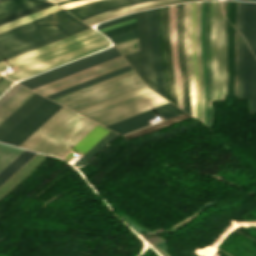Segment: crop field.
<instances>
[{
    "mask_svg": "<svg viewBox=\"0 0 256 256\" xmlns=\"http://www.w3.org/2000/svg\"><path fill=\"white\" fill-rule=\"evenodd\" d=\"M108 40L90 28L23 55L0 63V71L15 68L17 71L5 75L18 81L65 62L108 47Z\"/></svg>",
    "mask_w": 256,
    "mask_h": 256,
    "instance_id": "obj_1",
    "label": "crop field"
},
{
    "mask_svg": "<svg viewBox=\"0 0 256 256\" xmlns=\"http://www.w3.org/2000/svg\"><path fill=\"white\" fill-rule=\"evenodd\" d=\"M63 9L0 33V61L88 29Z\"/></svg>",
    "mask_w": 256,
    "mask_h": 256,
    "instance_id": "obj_2",
    "label": "crop field"
},
{
    "mask_svg": "<svg viewBox=\"0 0 256 256\" xmlns=\"http://www.w3.org/2000/svg\"><path fill=\"white\" fill-rule=\"evenodd\" d=\"M96 125L62 107L20 147L60 158Z\"/></svg>",
    "mask_w": 256,
    "mask_h": 256,
    "instance_id": "obj_3",
    "label": "crop field"
},
{
    "mask_svg": "<svg viewBox=\"0 0 256 256\" xmlns=\"http://www.w3.org/2000/svg\"><path fill=\"white\" fill-rule=\"evenodd\" d=\"M144 86L131 69L53 100L78 112Z\"/></svg>",
    "mask_w": 256,
    "mask_h": 256,
    "instance_id": "obj_4",
    "label": "crop field"
},
{
    "mask_svg": "<svg viewBox=\"0 0 256 256\" xmlns=\"http://www.w3.org/2000/svg\"><path fill=\"white\" fill-rule=\"evenodd\" d=\"M165 103L168 102L149 89L83 115L106 126Z\"/></svg>",
    "mask_w": 256,
    "mask_h": 256,
    "instance_id": "obj_5",
    "label": "crop field"
},
{
    "mask_svg": "<svg viewBox=\"0 0 256 256\" xmlns=\"http://www.w3.org/2000/svg\"><path fill=\"white\" fill-rule=\"evenodd\" d=\"M118 56H120V54L116 49L108 48L106 50L100 51L93 55L69 63L67 65L61 66L59 68L48 71L41 75L35 76L33 78H27L28 80L19 82L33 89L35 87L41 86L43 84L49 83L51 81L57 80L59 78L65 77L67 75L73 74L75 72H78L80 70L86 69L88 67L94 66L96 64L102 63L104 61L110 60Z\"/></svg>",
    "mask_w": 256,
    "mask_h": 256,
    "instance_id": "obj_6",
    "label": "crop field"
},
{
    "mask_svg": "<svg viewBox=\"0 0 256 256\" xmlns=\"http://www.w3.org/2000/svg\"><path fill=\"white\" fill-rule=\"evenodd\" d=\"M137 25L140 35L141 51L124 55V57L133 67V69L138 73V75L143 79V81L152 90L156 91L153 66L150 56L148 21L146 10L137 13Z\"/></svg>",
    "mask_w": 256,
    "mask_h": 256,
    "instance_id": "obj_7",
    "label": "crop field"
},
{
    "mask_svg": "<svg viewBox=\"0 0 256 256\" xmlns=\"http://www.w3.org/2000/svg\"><path fill=\"white\" fill-rule=\"evenodd\" d=\"M60 108L61 106L46 99L0 142L19 146Z\"/></svg>",
    "mask_w": 256,
    "mask_h": 256,
    "instance_id": "obj_8",
    "label": "crop field"
},
{
    "mask_svg": "<svg viewBox=\"0 0 256 256\" xmlns=\"http://www.w3.org/2000/svg\"><path fill=\"white\" fill-rule=\"evenodd\" d=\"M126 65H128V63L125 61V59L122 56H120L118 58L112 59L110 61L104 62L102 64L88 68L86 70L80 71L73 75L67 76L65 78L59 79L57 81L51 82L41 87L35 88L33 90L46 96L48 94L54 93L56 91L62 90L64 88L70 87L72 85L78 84L80 82L86 81L88 79L94 78L96 76L102 75L104 73L110 72L112 70L118 69Z\"/></svg>",
    "mask_w": 256,
    "mask_h": 256,
    "instance_id": "obj_9",
    "label": "crop field"
},
{
    "mask_svg": "<svg viewBox=\"0 0 256 256\" xmlns=\"http://www.w3.org/2000/svg\"><path fill=\"white\" fill-rule=\"evenodd\" d=\"M182 113L184 112L168 103L106 127L119 134H125L149 125L147 121L155 117L162 116L163 119L166 120Z\"/></svg>",
    "mask_w": 256,
    "mask_h": 256,
    "instance_id": "obj_10",
    "label": "crop field"
},
{
    "mask_svg": "<svg viewBox=\"0 0 256 256\" xmlns=\"http://www.w3.org/2000/svg\"><path fill=\"white\" fill-rule=\"evenodd\" d=\"M147 12H148V21H149L151 56H152L154 72H155L157 93H159L164 98H166L162 68H161V62H160V56H159V48H158L156 9H150V10H147Z\"/></svg>",
    "mask_w": 256,
    "mask_h": 256,
    "instance_id": "obj_11",
    "label": "crop field"
},
{
    "mask_svg": "<svg viewBox=\"0 0 256 256\" xmlns=\"http://www.w3.org/2000/svg\"><path fill=\"white\" fill-rule=\"evenodd\" d=\"M177 31H178V53L179 61L183 80V92H184V111L189 115L190 112V89L188 82V73L186 66V58L184 52V25H183V4L177 5Z\"/></svg>",
    "mask_w": 256,
    "mask_h": 256,
    "instance_id": "obj_12",
    "label": "crop field"
},
{
    "mask_svg": "<svg viewBox=\"0 0 256 256\" xmlns=\"http://www.w3.org/2000/svg\"><path fill=\"white\" fill-rule=\"evenodd\" d=\"M45 98L33 94L0 124V139L34 110Z\"/></svg>",
    "mask_w": 256,
    "mask_h": 256,
    "instance_id": "obj_13",
    "label": "crop field"
},
{
    "mask_svg": "<svg viewBox=\"0 0 256 256\" xmlns=\"http://www.w3.org/2000/svg\"><path fill=\"white\" fill-rule=\"evenodd\" d=\"M190 9L191 3L184 4V23H185V50L188 65L189 80L191 86V111L192 117L196 118V88L193 73L192 53H191V30H190Z\"/></svg>",
    "mask_w": 256,
    "mask_h": 256,
    "instance_id": "obj_14",
    "label": "crop field"
},
{
    "mask_svg": "<svg viewBox=\"0 0 256 256\" xmlns=\"http://www.w3.org/2000/svg\"><path fill=\"white\" fill-rule=\"evenodd\" d=\"M187 1H196V0H156V1H150V2H144L140 4H135V5H130L127 7H123L117 10L109 11L100 15H96L88 20H85L84 22L87 23L89 26H92L98 22H101L103 20L127 14L133 11H137L140 9H145V8H151V7H157V6H162L166 4H172V3H180V2H187Z\"/></svg>",
    "mask_w": 256,
    "mask_h": 256,
    "instance_id": "obj_15",
    "label": "crop field"
},
{
    "mask_svg": "<svg viewBox=\"0 0 256 256\" xmlns=\"http://www.w3.org/2000/svg\"><path fill=\"white\" fill-rule=\"evenodd\" d=\"M218 8H219V1L212 2L211 58H212V76H213V84H214V100L219 99V75H218V54H217Z\"/></svg>",
    "mask_w": 256,
    "mask_h": 256,
    "instance_id": "obj_16",
    "label": "crop field"
},
{
    "mask_svg": "<svg viewBox=\"0 0 256 256\" xmlns=\"http://www.w3.org/2000/svg\"><path fill=\"white\" fill-rule=\"evenodd\" d=\"M162 28H163V40H164V54L169 74L170 80V93H171V102L177 105L176 98V88H175V79H174V70L172 62V54L169 42V14L168 6L162 8Z\"/></svg>",
    "mask_w": 256,
    "mask_h": 256,
    "instance_id": "obj_17",
    "label": "crop field"
},
{
    "mask_svg": "<svg viewBox=\"0 0 256 256\" xmlns=\"http://www.w3.org/2000/svg\"><path fill=\"white\" fill-rule=\"evenodd\" d=\"M169 10H170V42H171L174 69H175L178 107L183 109L182 81L180 77L179 63H178V56H177L176 5L169 6Z\"/></svg>",
    "mask_w": 256,
    "mask_h": 256,
    "instance_id": "obj_18",
    "label": "crop field"
},
{
    "mask_svg": "<svg viewBox=\"0 0 256 256\" xmlns=\"http://www.w3.org/2000/svg\"><path fill=\"white\" fill-rule=\"evenodd\" d=\"M140 0H99L96 2L88 3L85 5L77 6L71 9H67L69 12L73 13L77 17L81 18L85 15L94 13L96 11L106 9L109 7L129 3V2H135Z\"/></svg>",
    "mask_w": 256,
    "mask_h": 256,
    "instance_id": "obj_19",
    "label": "crop field"
},
{
    "mask_svg": "<svg viewBox=\"0 0 256 256\" xmlns=\"http://www.w3.org/2000/svg\"><path fill=\"white\" fill-rule=\"evenodd\" d=\"M224 15L219 8L218 24V53H219V74H220V99L225 100V71H224Z\"/></svg>",
    "mask_w": 256,
    "mask_h": 256,
    "instance_id": "obj_20",
    "label": "crop field"
},
{
    "mask_svg": "<svg viewBox=\"0 0 256 256\" xmlns=\"http://www.w3.org/2000/svg\"><path fill=\"white\" fill-rule=\"evenodd\" d=\"M234 28L228 22L227 55H228V104L233 105V73H234Z\"/></svg>",
    "mask_w": 256,
    "mask_h": 256,
    "instance_id": "obj_21",
    "label": "crop field"
},
{
    "mask_svg": "<svg viewBox=\"0 0 256 256\" xmlns=\"http://www.w3.org/2000/svg\"><path fill=\"white\" fill-rule=\"evenodd\" d=\"M242 99H249V112H250V50L242 38Z\"/></svg>",
    "mask_w": 256,
    "mask_h": 256,
    "instance_id": "obj_22",
    "label": "crop field"
},
{
    "mask_svg": "<svg viewBox=\"0 0 256 256\" xmlns=\"http://www.w3.org/2000/svg\"><path fill=\"white\" fill-rule=\"evenodd\" d=\"M200 7H201V2L197 3V8H196V43H197V63H198V69H199L200 93H201L200 121L203 123L205 100H204L203 76H202V70H201V57H200Z\"/></svg>",
    "mask_w": 256,
    "mask_h": 256,
    "instance_id": "obj_23",
    "label": "crop field"
},
{
    "mask_svg": "<svg viewBox=\"0 0 256 256\" xmlns=\"http://www.w3.org/2000/svg\"><path fill=\"white\" fill-rule=\"evenodd\" d=\"M33 93L34 92L24 87L18 93H16L6 104L0 108V123Z\"/></svg>",
    "mask_w": 256,
    "mask_h": 256,
    "instance_id": "obj_24",
    "label": "crop field"
},
{
    "mask_svg": "<svg viewBox=\"0 0 256 256\" xmlns=\"http://www.w3.org/2000/svg\"><path fill=\"white\" fill-rule=\"evenodd\" d=\"M35 154L36 153L27 150L20 154L12 163H10L2 172H0V185H2Z\"/></svg>",
    "mask_w": 256,
    "mask_h": 256,
    "instance_id": "obj_25",
    "label": "crop field"
},
{
    "mask_svg": "<svg viewBox=\"0 0 256 256\" xmlns=\"http://www.w3.org/2000/svg\"><path fill=\"white\" fill-rule=\"evenodd\" d=\"M129 69H131V66H130V65H128V66H126V67H123V68H120V69H118V70L112 71V72H110V73L104 74V75H102V76L96 77V78H94V79L88 80V81H86V82L80 83V84H78V85L72 86V87H70V88L64 89V90H62V91L56 92V93H54V94L48 95V96H46V97H48V98H50V99H53V98H55V97L61 96V95L66 94V93H68V92H71V91H74V90H76V89L82 88V87H84V86H87V85H89V84L95 83V82H97V81H100V80H102V79L108 78V77H110V76L116 75V74H118V73H121V72L126 71V70H129Z\"/></svg>",
    "mask_w": 256,
    "mask_h": 256,
    "instance_id": "obj_26",
    "label": "crop field"
},
{
    "mask_svg": "<svg viewBox=\"0 0 256 256\" xmlns=\"http://www.w3.org/2000/svg\"><path fill=\"white\" fill-rule=\"evenodd\" d=\"M117 134L109 132L105 135L97 144H95L88 152H86L78 161H76L74 166H82L87 161H89L96 153H98L108 142H110Z\"/></svg>",
    "mask_w": 256,
    "mask_h": 256,
    "instance_id": "obj_27",
    "label": "crop field"
},
{
    "mask_svg": "<svg viewBox=\"0 0 256 256\" xmlns=\"http://www.w3.org/2000/svg\"><path fill=\"white\" fill-rule=\"evenodd\" d=\"M24 149L0 143V171L12 162Z\"/></svg>",
    "mask_w": 256,
    "mask_h": 256,
    "instance_id": "obj_28",
    "label": "crop field"
},
{
    "mask_svg": "<svg viewBox=\"0 0 256 256\" xmlns=\"http://www.w3.org/2000/svg\"><path fill=\"white\" fill-rule=\"evenodd\" d=\"M195 7L196 3H192V10H191V29H192V52H193V63L195 69V78L197 84V119L199 120V85H198V70H197V63H196V43H195Z\"/></svg>",
    "mask_w": 256,
    "mask_h": 256,
    "instance_id": "obj_29",
    "label": "crop field"
},
{
    "mask_svg": "<svg viewBox=\"0 0 256 256\" xmlns=\"http://www.w3.org/2000/svg\"><path fill=\"white\" fill-rule=\"evenodd\" d=\"M188 117H190V116H188V115H186V114L184 113V114H182V115H179V116H176V117H174V118L168 119V120H166V121H163V122H161V123L155 124V125L150 126V127H147V128L142 129V130H140V131H137V132H134V133H132V134L126 135V136H124V137H126V138L129 139V140H131V139H133V138H136V137H139V136H141V135L147 134V133H149V132L155 131V130H157V129H160V128H162V127L168 126V125L173 124V123H175V122H178V121H180V120L186 119V118H188Z\"/></svg>",
    "mask_w": 256,
    "mask_h": 256,
    "instance_id": "obj_30",
    "label": "crop field"
},
{
    "mask_svg": "<svg viewBox=\"0 0 256 256\" xmlns=\"http://www.w3.org/2000/svg\"><path fill=\"white\" fill-rule=\"evenodd\" d=\"M253 9H254V3L245 2L243 36L245 37L249 47L251 44V27H252V19H253Z\"/></svg>",
    "mask_w": 256,
    "mask_h": 256,
    "instance_id": "obj_31",
    "label": "crop field"
},
{
    "mask_svg": "<svg viewBox=\"0 0 256 256\" xmlns=\"http://www.w3.org/2000/svg\"><path fill=\"white\" fill-rule=\"evenodd\" d=\"M157 20H158L160 54H161V60H162V66H163L166 96H167V99L170 101L169 81H168L167 69H166V64H165V59H164V54H163V40H162V28H161V8L157 9Z\"/></svg>",
    "mask_w": 256,
    "mask_h": 256,
    "instance_id": "obj_32",
    "label": "crop field"
},
{
    "mask_svg": "<svg viewBox=\"0 0 256 256\" xmlns=\"http://www.w3.org/2000/svg\"><path fill=\"white\" fill-rule=\"evenodd\" d=\"M61 9L60 7H58L57 5L52 6L50 8L44 9L42 11L36 12L34 14L28 15L26 17L20 18L18 20L12 21L10 23L4 24L2 26H0V31L6 30L8 28H11L13 26L19 25L21 23L27 22L29 20L35 19L37 17L43 16L45 14L51 13L53 11L59 10Z\"/></svg>",
    "mask_w": 256,
    "mask_h": 256,
    "instance_id": "obj_33",
    "label": "crop field"
},
{
    "mask_svg": "<svg viewBox=\"0 0 256 256\" xmlns=\"http://www.w3.org/2000/svg\"><path fill=\"white\" fill-rule=\"evenodd\" d=\"M143 239H145L150 245L164 239L162 237H159L156 235V233H151V234H147L146 236L142 237ZM158 246H160L165 252L168 253L167 251V241L162 240L158 243H156ZM156 244L152 245V247L159 252L162 256H169L167 253H165L160 247H158Z\"/></svg>",
    "mask_w": 256,
    "mask_h": 256,
    "instance_id": "obj_34",
    "label": "crop field"
},
{
    "mask_svg": "<svg viewBox=\"0 0 256 256\" xmlns=\"http://www.w3.org/2000/svg\"><path fill=\"white\" fill-rule=\"evenodd\" d=\"M251 113H256V59L251 57Z\"/></svg>",
    "mask_w": 256,
    "mask_h": 256,
    "instance_id": "obj_35",
    "label": "crop field"
},
{
    "mask_svg": "<svg viewBox=\"0 0 256 256\" xmlns=\"http://www.w3.org/2000/svg\"><path fill=\"white\" fill-rule=\"evenodd\" d=\"M52 5H54V4L45 2V3H42V4H40V5L34 6V7H32V8L23 10V11L18 12V13H15V14H13V15L4 17V18L0 19V25H1V24H4V23H6V22L12 21V20H14V19L20 18V17H22V16L28 15V14H30V13L36 12V11H38V10L44 9V8H46V7L52 6Z\"/></svg>",
    "mask_w": 256,
    "mask_h": 256,
    "instance_id": "obj_36",
    "label": "crop field"
},
{
    "mask_svg": "<svg viewBox=\"0 0 256 256\" xmlns=\"http://www.w3.org/2000/svg\"><path fill=\"white\" fill-rule=\"evenodd\" d=\"M44 1H40V0H30L28 2H25V3H22L20 5H17V6H14V7H11L9 9H6V10H3V11H0V18L4 17V16H7V15H10V14H13L15 12H18V11H21L23 9H26V8H29V7H32L34 5H37V4H40Z\"/></svg>",
    "mask_w": 256,
    "mask_h": 256,
    "instance_id": "obj_37",
    "label": "crop field"
},
{
    "mask_svg": "<svg viewBox=\"0 0 256 256\" xmlns=\"http://www.w3.org/2000/svg\"><path fill=\"white\" fill-rule=\"evenodd\" d=\"M116 46L119 49V51L122 53V55L139 51L140 50L139 38L117 44Z\"/></svg>",
    "mask_w": 256,
    "mask_h": 256,
    "instance_id": "obj_38",
    "label": "crop field"
},
{
    "mask_svg": "<svg viewBox=\"0 0 256 256\" xmlns=\"http://www.w3.org/2000/svg\"><path fill=\"white\" fill-rule=\"evenodd\" d=\"M136 29H137V26H136V22H135V23L128 24V25H125V26H122V27H119V28H116V29H112V30H109V31H106V32H102V33L105 36H107L108 38H110V37L115 36L117 34L132 31V30H136Z\"/></svg>",
    "mask_w": 256,
    "mask_h": 256,
    "instance_id": "obj_39",
    "label": "crop field"
},
{
    "mask_svg": "<svg viewBox=\"0 0 256 256\" xmlns=\"http://www.w3.org/2000/svg\"><path fill=\"white\" fill-rule=\"evenodd\" d=\"M147 89H149L148 86H146V87H144V88H141V89H138V90H136V91L130 92V93H128V94H125V95H123V96L117 97V98H115V99L109 100V101H107V102L101 103V104L96 105V106H94V107L88 108V109H86V110L80 111V112H78V113L83 114V113H85V112L91 111V110H93V109L99 108V107H101V106L107 105V104H109V103L115 102V101H117V100L123 99V98H125V97L131 96V95H133V94L139 93V92L144 91V90H147Z\"/></svg>",
    "mask_w": 256,
    "mask_h": 256,
    "instance_id": "obj_40",
    "label": "crop field"
},
{
    "mask_svg": "<svg viewBox=\"0 0 256 256\" xmlns=\"http://www.w3.org/2000/svg\"><path fill=\"white\" fill-rule=\"evenodd\" d=\"M135 18H136V13L130 14V15H127V16H123V17H120V18H116V19H113V20H110V21H106V22H103L100 25H98L97 30H99L101 28H104V27H107V26L112 25V24L124 22V21H127V20L135 19Z\"/></svg>",
    "mask_w": 256,
    "mask_h": 256,
    "instance_id": "obj_41",
    "label": "crop field"
},
{
    "mask_svg": "<svg viewBox=\"0 0 256 256\" xmlns=\"http://www.w3.org/2000/svg\"><path fill=\"white\" fill-rule=\"evenodd\" d=\"M137 37H138V33H137V30H136V31H133V32H129V33L117 36V37L110 38V40L114 44H117V43H120V42H124V41L130 40V39L137 38Z\"/></svg>",
    "mask_w": 256,
    "mask_h": 256,
    "instance_id": "obj_42",
    "label": "crop field"
},
{
    "mask_svg": "<svg viewBox=\"0 0 256 256\" xmlns=\"http://www.w3.org/2000/svg\"><path fill=\"white\" fill-rule=\"evenodd\" d=\"M238 75H239V88L238 99H241V36L238 33Z\"/></svg>",
    "mask_w": 256,
    "mask_h": 256,
    "instance_id": "obj_43",
    "label": "crop field"
},
{
    "mask_svg": "<svg viewBox=\"0 0 256 256\" xmlns=\"http://www.w3.org/2000/svg\"><path fill=\"white\" fill-rule=\"evenodd\" d=\"M22 86L15 84L11 89H9L1 98H0V107L9 100L17 91H19Z\"/></svg>",
    "mask_w": 256,
    "mask_h": 256,
    "instance_id": "obj_44",
    "label": "crop field"
},
{
    "mask_svg": "<svg viewBox=\"0 0 256 256\" xmlns=\"http://www.w3.org/2000/svg\"><path fill=\"white\" fill-rule=\"evenodd\" d=\"M208 10H209V2H207V8H206V54H207V67H208V82H209V99L211 104V98H210V80H209V60H208V49H207V37H208ZM209 117H210V108H209ZM207 127L209 128V121Z\"/></svg>",
    "mask_w": 256,
    "mask_h": 256,
    "instance_id": "obj_45",
    "label": "crop field"
},
{
    "mask_svg": "<svg viewBox=\"0 0 256 256\" xmlns=\"http://www.w3.org/2000/svg\"><path fill=\"white\" fill-rule=\"evenodd\" d=\"M251 50L256 56V3H255V10H254V21H253V28H252V45Z\"/></svg>",
    "mask_w": 256,
    "mask_h": 256,
    "instance_id": "obj_46",
    "label": "crop field"
},
{
    "mask_svg": "<svg viewBox=\"0 0 256 256\" xmlns=\"http://www.w3.org/2000/svg\"><path fill=\"white\" fill-rule=\"evenodd\" d=\"M210 9H211V2H210ZM208 45H209V59H210L211 98H212L213 84H212V76H211V58H210V11H209V37H208ZM212 113H213V104H211L210 128H211V123H212Z\"/></svg>",
    "mask_w": 256,
    "mask_h": 256,
    "instance_id": "obj_47",
    "label": "crop field"
},
{
    "mask_svg": "<svg viewBox=\"0 0 256 256\" xmlns=\"http://www.w3.org/2000/svg\"><path fill=\"white\" fill-rule=\"evenodd\" d=\"M235 90H234V96H237V87H238V79H237V31L235 30Z\"/></svg>",
    "mask_w": 256,
    "mask_h": 256,
    "instance_id": "obj_48",
    "label": "crop field"
},
{
    "mask_svg": "<svg viewBox=\"0 0 256 256\" xmlns=\"http://www.w3.org/2000/svg\"><path fill=\"white\" fill-rule=\"evenodd\" d=\"M235 11H236V2L230 1L228 20L231 22L233 26H234Z\"/></svg>",
    "mask_w": 256,
    "mask_h": 256,
    "instance_id": "obj_49",
    "label": "crop field"
},
{
    "mask_svg": "<svg viewBox=\"0 0 256 256\" xmlns=\"http://www.w3.org/2000/svg\"><path fill=\"white\" fill-rule=\"evenodd\" d=\"M13 82L7 80V79H3L1 82H0V96L7 90L9 89L13 84ZM12 84V85H11ZM11 85V86H10Z\"/></svg>",
    "mask_w": 256,
    "mask_h": 256,
    "instance_id": "obj_50",
    "label": "crop field"
},
{
    "mask_svg": "<svg viewBox=\"0 0 256 256\" xmlns=\"http://www.w3.org/2000/svg\"><path fill=\"white\" fill-rule=\"evenodd\" d=\"M23 1H25V0H9V1L3 2L0 4V10L7 8L9 6L15 5L17 3L23 2Z\"/></svg>",
    "mask_w": 256,
    "mask_h": 256,
    "instance_id": "obj_51",
    "label": "crop field"
},
{
    "mask_svg": "<svg viewBox=\"0 0 256 256\" xmlns=\"http://www.w3.org/2000/svg\"><path fill=\"white\" fill-rule=\"evenodd\" d=\"M92 1H96V0H83V1L72 2V3H68L66 5H62V7L67 9V8H70V7H74V6L81 5V4L88 3V2H92Z\"/></svg>",
    "mask_w": 256,
    "mask_h": 256,
    "instance_id": "obj_52",
    "label": "crop field"
},
{
    "mask_svg": "<svg viewBox=\"0 0 256 256\" xmlns=\"http://www.w3.org/2000/svg\"><path fill=\"white\" fill-rule=\"evenodd\" d=\"M216 203H217L216 201H213V202H211V203H209V204H206V205L202 206L201 208H199L198 210H196L193 215L196 216L197 214H199L201 211H203V210L206 209L207 207H209V206H211V205H215ZM180 224H182V223H180ZM180 224H178V225H180ZM178 225H176V226H178ZM176 226H174V227H176ZM174 227H172V228H174ZM172 228H170V229H172ZM170 229H168V230H170ZM168 230H166V231H168Z\"/></svg>",
    "mask_w": 256,
    "mask_h": 256,
    "instance_id": "obj_53",
    "label": "crop field"
},
{
    "mask_svg": "<svg viewBox=\"0 0 256 256\" xmlns=\"http://www.w3.org/2000/svg\"><path fill=\"white\" fill-rule=\"evenodd\" d=\"M243 7H244V2H241L240 20H239V28H238V31H239L241 34H242Z\"/></svg>",
    "mask_w": 256,
    "mask_h": 256,
    "instance_id": "obj_54",
    "label": "crop field"
},
{
    "mask_svg": "<svg viewBox=\"0 0 256 256\" xmlns=\"http://www.w3.org/2000/svg\"><path fill=\"white\" fill-rule=\"evenodd\" d=\"M135 21H136V19L135 20H131V21H127V22H124V23L112 25V26H109L107 28L101 29L99 31L102 32V31L109 30V29H112V28H115V27H119V26H122V25H125V24H128V23H132V22H135Z\"/></svg>",
    "mask_w": 256,
    "mask_h": 256,
    "instance_id": "obj_55",
    "label": "crop field"
},
{
    "mask_svg": "<svg viewBox=\"0 0 256 256\" xmlns=\"http://www.w3.org/2000/svg\"><path fill=\"white\" fill-rule=\"evenodd\" d=\"M227 20L225 19V56H226ZM226 96H227V61H226Z\"/></svg>",
    "mask_w": 256,
    "mask_h": 256,
    "instance_id": "obj_56",
    "label": "crop field"
},
{
    "mask_svg": "<svg viewBox=\"0 0 256 256\" xmlns=\"http://www.w3.org/2000/svg\"><path fill=\"white\" fill-rule=\"evenodd\" d=\"M130 4H131V3H130ZM126 5H129V4H126ZM126 5H122V6H117V7L109 8V9H107V10H105V11L98 12V13H95V14H91V15L86 16V17L81 18V19L84 20V19H87V18H89V17H91V16H93V15H96V14H99V13H103V12H106V11H109V10H112V9L120 8V7H123V6H126Z\"/></svg>",
    "mask_w": 256,
    "mask_h": 256,
    "instance_id": "obj_57",
    "label": "crop field"
},
{
    "mask_svg": "<svg viewBox=\"0 0 256 256\" xmlns=\"http://www.w3.org/2000/svg\"><path fill=\"white\" fill-rule=\"evenodd\" d=\"M239 8H240V2H237V12H236V21H235L236 30H237L238 20H239Z\"/></svg>",
    "mask_w": 256,
    "mask_h": 256,
    "instance_id": "obj_58",
    "label": "crop field"
},
{
    "mask_svg": "<svg viewBox=\"0 0 256 256\" xmlns=\"http://www.w3.org/2000/svg\"><path fill=\"white\" fill-rule=\"evenodd\" d=\"M221 4H222V9L224 11V14L226 12V1H221Z\"/></svg>",
    "mask_w": 256,
    "mask_h": 256,
    "instance_id": "obj_59",
    "label": "crop field"
},
{
    "mask_svg": "<svg viewBox=\"0 0 256 256\" xmlns=\"http://www.w3.org/2000/svg\"><path fill=\"white\" fill-rule=\"evenodd\" d=\"M72 1H77V0H68V1H65V2H62V3H58L59 5H62V4H66L68 2H72Z\"/></svg>",
    "mask_w": 256,
    "mask_h": 256,
    "instance_id": "obj_60",
    "label": "crop field"
},
{
    "mask_svg": "<svg viewBox=\"0 0 256 256\" xmlns=\"http://www.w3.org/2000/svg\"><path fill=\"white\" fill-rule=\"evenodd\" d=\"M50 2H57V1H61V0H48Z\"/></svg>",
    "mask_w": 256,
    "mask_h": 256,
    "instance_id": "obj_61",
    "label": "crop field"
},
{
    "mask_svg": "<svg viewBox=\"0 0 256 256\" xmlns=\"http://www.w3.org/2000/svg\"><path fill=\"white\" fill-rule=\"evenodd\" d=\"M146 1H149V0H146ZM140 2H144V1H140ZM135 3H139V2H135ZM134 4V3H133Z\"/></svg>",
    "mask_w": 256,
    "mask_h": 256,
    "instance_id": "obj_62",
    "label": "crop field"
},
{
    "mask_svg": "<svg viewBox=\"0 0 256 256\" xmlns=\"http://www.w3.org/2000/svg\"><path fill=\"white\" fill-rule=\"evenodd\" d=\"M3 78H4V77L1 76V77H0V81H1Z\"/></svg>",
    "mask_w": 256,
    "mask_h": 256,
    "instance_id": "obj_63",
    "label": "crop field"
},
{
    "mask_svg": "<svg viewBox=\"0 0 256 256\" xmlns=\"http://www.w3.org/2000/svg\"><path fill=\"white\" fill-rule=\"evenodd\" d=\"M3 1H6V0H0V3L3 2Z\"/></svg>",
    "mask_w": 256,
    "mask_h": 256,
    "instance_id": "obj_64",
    "label": "crop field"
},
{
    "mask_svg": "<svg viewBox=\"0 0 256 256\" xmlns=\"http://www.w3.org/2000/svg\"><path fill=\"white\" fill-rule=\"evenodd\" d=\"M247 1H256V0H247Z\"/></svg>",
    "mask_w": 256,
    "mask_h": 256,
    "instance_id": "obj_65",
    "label": "crop field"
}]
</instances>
